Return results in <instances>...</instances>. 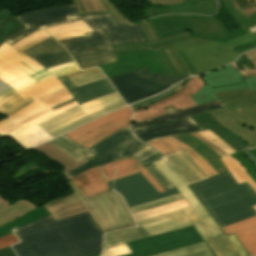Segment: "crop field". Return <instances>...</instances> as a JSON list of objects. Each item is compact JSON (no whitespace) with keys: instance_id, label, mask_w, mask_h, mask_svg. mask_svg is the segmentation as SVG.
Returning a JSON list of instances; mask_svg holds the SVG:
<instances>
[{"instance_id":"e1d0b9f6","label":"crop field","mask_w":256,"mask_h":256,"mask_svg":"<svg viewBox=\"0 0 256 256\" xmlns=\"http://www.w3.org/2000/svg\"><path fill=\"white\" fill-rule=\"evenodd\" d=\"M0 256H16L10 246L0 250Z\"/></svg>"},{"instance_id":"c3a83c6f","label":"crop field","mask_w":256,"mask_h":256,"mask_svg":"<svg viewBox=\"0 0 256 256\" xmlns=\"http://www.w3.org/2000/svg\"><path fill=\"white\" fill-rule=\"evenodd\" d=\"M82 37H86V34L75 36V37H71V38H67V39H63V40H59V42L63 43V42L79 39V38H82Z\"/></svg>"},{"instance_id":"5a996713","label":"crop field","mask_w":256,"mask_h":256,"mask_svg":"<svg viewBox=\"0 0 256 256\" xmlns=\"http://www.w3.org/2000/svg\"><path fill=\"white\" fill-rule=\"evenodd\" d=\"M125 256H212L193 226L127 243Z\"/></svg>"},{"instance_id":"28ad6ade","label":"crop field","mask_w":256,"mask_h":256,"mask_svg":"<svg viewBox=\"0 0 256 256\" xmlns=\"http://www.w3.org/2000/svg\"><path fill=\"white\" fill-rule=\"evenodd\" d=\"M188 77L191 76H152L144 68L131 73L110 77L109 80L119 91L125 102L131 104L160 93Z\"/></svg>"},{"instance_id":"ade564c9","label":"crop field","mask_w":256,"mask_h":256,"mask_svg":"<svg viewBox=\"0 0 256 256\" xmlns=\"http://www.w3.org/2000/svg\"><path fill=\"white\" fill-rule=\"evenodd\" d=\"M250 61L256 60V50L249 51L244 54Z\"/></svg>"},{"instance_id":"4177f3b9","label":"crop field","mask_w":256,"mask_h":256,"mask_svg":"<svg viewBox=\"0 0 256 256\" xmlns=\"http://www.w3.org/2000/svg\"><path fill=\"white\" fill-rule=\"evenodd\" d=\"M184 3L168 7L147 9L144 11L147 18L172 13H200L214 15L217 9V0H183ZM172 8V10H170Z\"/></svg>"},{"instance_id":"ae1a2a85","label":"crop field","mask_w":256,"mask_h":256,"mask_svg":"<svg viewBox=\"0 0 256 256\" xmlns=\"http://www.w3.org/2000/svg\"><path fill=\"white\" fill-rule=\"evenodd\" d=\"M163 159L187 184L207 178L206 174L199 168V166L182 151L170 154Z\"/></svg>"},{"instance_id":"dafd665d","label":"crop field","mask_w":256,"mask_h":256,"mask_svg":"<svg viewBox=\"0 0 256 256\" xmlns=\"http://www.w3.org/2000/svg\"><path fill=\"white\" fill-rule=\"evenodd\" d=\"M22 52L46 69L73 61L69 53L51 37Z\"/></svg>"},{"instance_id":"dbb93151","label":"crop field","mask_w":256,"mask_h":256,"mask_svg":"<svg viewBox=\"0 0 256 256\" xmlns=\"http://www.w3.org/2000/svg\"><path fill=\"white\" fill-rule=\"evenodd\" d=\"M255 41H256V33H254V34L249 33L247 35H244L242 37L236 38L234 40H231V41H228L225 43L228 46H230L232 49L236 50L240 47H243V46L248 45Z\"/></svg>"},{"instance_id":"e1f06a70","label":"crop field","mask_w":256,"mask_h":256,"mask_svg":"<svg viewBox=\"0 0 256 256\" xmlns=\"http://www.w3.org/2000/svg\"><path fill=\"white\" fill-rule=\"evenodd\" d=\"M147 237V235L138 228L117 231L104 235V250L125 245V242Z\"/></svg>"},{"instance_id":"b80d0937","label":"crop field","mask_w":256,"mask_h":256,"mask_svg":"<svg viewBox=\"0 0 256 256\" xmlns=\"http://www.w3.org/2000/svg\"><path fill=\"white\" fill-rule=\"evenodd\" d=\"M55 147L63 150L67 154H69L71 157H73L78 162L86 159L87 157L93 155L91 152L86 150L85 148L77 145L73 141H71L66 136L62 135L52 141H48Z\"/></svg>"},{"instance_id":"db79e9e6","label":"crop field","mask_w":256,"mask_h":256,"mask_svg":"<svg viewBox=\"0 0 256 256\" xmlns=\"http://www.w3.org/2000/svg\"><path fill=\"white\" fill-rule=\"evenodd\" d=\"M17 242H19V240L14 233L4 236L0 238V249Z\"/></svg>"},{"instance_id":"c39391a2","label":"crop field","mask_w":256,"mask_h":256,"mask_svg":"<svg viewBox=\"0 0 256 256\" xmlns=\"http://www.w3.org/2000/svg\"><path fill=\"white\" fill-rule=\"evenodd\" d=\"M252 48H256V42H255V43H252V44H250V45H248V46H246V47L240 48V49L236 50V52H238V53L241 54L242 52L247 51V50H250V49H252Z\"/></svg>"},{"instance_id":"0fb4a251","label":"crop field","mask_w":256,"mask_h":256,"mask_svg":"<svg viewBox=\"0 0 256 256\" xmlns=\"http://www.w3.org/2000/svg\"><path fill=\"white\" fill-rule=\"evenodd\" d=\"M149 147L148 145L142 144L140 141H138L135 137L131 141V143L128 145L127 149L125 152L121 155L120 159H125V158H131L133 157L132 155Z\"/></svg>"},{"instance_id":"7312dd0a","label":"crop field","mask_w":256,"mask_h":256,"mask_svg":"<svg viewBox=\"0 0 256 256\" xmlns=\"http://www.w3.org/2000/svg\"><path fill=\"white\" fill-rule=\"evenodd\" d=\"M5 202V199L3 197H0V204Z\"/></svg>"},{"instance_id":"412701ff","label":"crop field","mask_w":256,"mask_h":256,"mask_svg":"<svg viewBox=\"0 0 256 256\" xmlns=\"http://www.w3.org/2000/svg\"><path fill=\"white\" fill-rule=\"evenodd\" d=\"M0 79L13 87L0 95V112L9 116L0 121V136L6 137L10 135L27 150L52 139L46 131L37 125L38 123L77 105L76 101H74L55 111L49 109L72 98L71 95L47 106L31 98L26 100L17 91L35 82L7 65L1 59Z\"/></svg>"},{"instance_id":"214f88e0","label":"crop field","mask_w":256,"mask_h":256,"mask_svg":"<svg viewBox=\"0 0 256 256\" xmlns=\"http://www.w3.org/2000/svg\"><path fill=\"white\" fill-rule=\"evenodd\" d=\"M125 106L122 98L118 94V92L113 93L111 95L99 98L97 100L88 102L86 104L81 105L84 111L87 113L78 118H75L65 124H62L50 131L48 133L53 137H57L79 125H82L98 116H101L107 112L118 109L120 107Z\"/></svg>"},{"instance_id":"ae633e8c","label":"crop field","mask_w":256,"mask_h":256,"mask_svg":"<svg viewBox=\"0 0 256 256\" xmlns=\"http://www.w3.org/2000/svg\"><path fill=\"white\" fill-rule=\"evenodd\" d=\"M252 63L256 66V61H253ZM231 65L234 66L242 74L243 77L256 74V71L245 74L244 71L240 69L236 64L232 63Z\"/></svg>"},{"instance_id":"425ffa30","label":"crop field","mask_w":256,"mask_h":256,"mask_svg":"<svg viewBox=\"0 0 256 256\" xmlns=\"http://www.w3.org/2000/svg\"><path fill=\"white\" fill-rule=\"evenodd\" d=\"M188 206V204L186 203L185 200H181L178 201L176 203L164 206V207H160V208H156V209H152V210H148V211H144L138 214H134L133 217L135 219V221L137 220H141V219H146V218H150L153 216H157L163 213H167L182 207Z\"/></svg>"},{"instance_id":"89e229c0","label":"crop field","mask_w":256,"mask_h":256,"mask_svg":"<svg viewBox=\"0 0 256 256\" xmlns=\"http://www.w3.org/2000/svg\"><path fill=\"white\" fill-rule=\"evenodd\" d=\"M184 84L183 82H181L180 84H178L177 86H175L174 88L170 89L169 91L159 95V96H156L154 98H151V99H148L146 101H143V102H140V103H136V104H133L131 105V107L133 108V110L135 109H139V108H143L151 103H154V102H157L159 100H162L172 94H174L176 91H178L181 87H183Z\"/></svg>"},{"instance_id":"d14b1444","label":"crop field","mask_w":256,"mask_h":256,"mask_svg":"<svg viewBox=\"0 0 256 256\" xmlns=\"http://www.w3.org/2000/svg\"><path fill=\"white\" fill-rule=\"evenodd\" d=\"M241 152L244 153L253 162V164L256 166V157L253 154H251L246 149L241 151Z\"/></svg>"},{"instance_id":"9d1cf04e","label":"crop field","mask_w":256,"mask_h":256,"mask_svg":"<svg viewBox=\"0 0 256 256\" xmlns=\"http://www.w3.org/2000/svg\"><path fill=\"white\" fill-rule=\"evenodd\" d=\"M231 156L236 158L238 161H240L244 165V167L248 171L251 178L256 182V168L251 163V161L245 155H243L241 152L234 153Z\"/></svg>"},{"instance_id":"a9b5d70f","label":"crop field","mask_w":256,"mask_h":256,"mask_svg":"<svg viewBox=\"0 0 256 256\" xmlns=\"http://www.w3.org/2000/svg\"><path fill=\"white\" fill-rule=\"evenodd\" d=\"M137 24L141 27L145 37L147 38V42L114 46L116 53L152 50V46L171 44V41L173 40L192 37V34L189 32H180L160 38L150 20L142 21Z\"/></svg>"},{"instance_id":"5d738f31","label":"crop field","mask_w":256,"mask_h":256,"mask_svg":"<svg viewBox=\"0 0 256 256\" xmlns=\"http://www.w3.org/2000/svg\"><path fill=\"white\" fill-rule=\"evenodd\" d=\"M50 213L47 211V209L42 206L41 208L37 209L36 211L27 214L20 219L6 225L3 227H0V237L12 233L11 229H14L16 227L22 226L26 223L38 220L46 215H49Z\"/></svg>"},{"instance_id":"8a807250","label":"crop field","mask_w":256,"mask_h":256,"mask_svg":"<svg viewBox=\"0 0 256 256\" xmlns=\"http://www.w3.org/2000/svg\"><path fill=\"white\" fill-rule=\"evenodd\" d=\"M221 1L241 28L228 33L218 19L200 15L158 17L150 20L161 37L189 29L193 33V38L176 40L172 42L173 45L153 48L177 46L185 53L198 74L220 68L234 61L239 54L223 42L249 33L248 29L256 26V16L247 19L237 12L231 0Z\"/></svg>"},{"instance_id":"cbeb9de0","label":"crop field","mask_w":256,"mask_h":256,"mask_svg":"<svg viewBox=\"0 0 256 256\" xmlns=\"http://www.w3.org/2000/svg\"><path fill=\"white\" fill-rule=\"evenodd\" d=\"M107 183L124 197L128 207L178 194L177 189L160 194L141 172Z\"/></svg>"},{"instance_id":"d1516ede","label":"crop field","mask_w":256,"mask_h":256,"mask_svg":"<svg viewBox=\"0 0 256 256\" xmlns=\"http://www.w3.org/2000/svg\"><path fill=\"white\" fill-rule=\"evenodd\" d=\"M131 116L132 111L127 106L64 135L88 149L107 135L128 127Z\"/></svg>"},{"instance_id":"92a150f3","label":"crop field","mask_w":256,"mask_h":256,"mask_svg":"<svg viewBox=\"0 0 256 256\" xmlns=\"http://www.w3.org/2000/svg\"><path fill=\"white\" fill-rule=\"evenodd\" d=\"M139 170L130 171L128 173L106 179L104 180L100 171L97 167L88 170L80 175H77L70 180L72 183L86 196H90L92 194H95L99 191H104L106 189H109L107 186L106 181L117 179L120 177H124L136 172L141 171L144 176L150 181V183L160 192H165L163 187L158 183V181L153 177V175L144 167H138ZM100 193V192H99Z\"/></svg>"},{"instance_id":"d32e631a","label":"crop field","mask_w":256,"mask_h":256,"mask_svg":"<svg viewBox=\"0 0 256 256\" xmlns=\"http://www.w3.org/2000/svg\"><path fill=\"white\" fill-rule=\"evenodd\" d=\"M37 209L33 204L20 201L12 206L7 201L0 205V226L12 222L19 217Z\"/></svg>"},{"instance_id":"e52e79f7","label":"crop field","mask_w":256,"mask_h":256,"mask_svg":"<svg viewBox=\"0 0 256 256\" xmlns=\"http://www.w3.org/2000/svg\"><path fill=\"white\" fill-rule=\"evenodd\" d=\"M75 192L44 205L56 220L83 211H90L104 233L136 226L122 197L107 190L86 198L70 181Z\"/></svg>"},{"instance_id":"25e5ab78","label":"crop field","mask_w":256,"mask_h":256,"mask_svg":"<svg viewBox=\"0 0 256 256\" xmlns=\"http://www.w3.org/2000/svg\"><path fill=\"white\" fill-rule=\"evenodd\" d=\"M181 199H183V198L181 197L180 194H178V195L170 196V197H167V198L159 199V200H156V201H152V202H149V203H145V204H142V205L130 207L129 209H130L131 213L134 214V213H138V212H141V211H144V210H148V209L160 207V206H163V205H167V204L173 203V202L181 200Z\"/></svg>"},{"instance_id":"d23c7cc5","label":"crop field","mask_w":256,"mask_h":256,"mask_svg":"<svg viewBox=\"0 0 256 256\" xmlns=\"http://www.w3.org/2000/svg\"><path fill=\"white\" fill-rule=\"evenodd\" d=\"M68 77L75 84L76 87L86 85L91 82L105 78L103 73L97 68H93L80 73L68 75Z\"/></svg>"},{"instance_id":"733c2abd","label":"crop field","mask_w":256,"mask_h":256,"mask_svg":"<svg viewBox=\"0 0 256 256\" xmlns=\"http://www.w3.org/2000/svg\"><path fill=\"white\" fill-rule=\"evenodd\" d=\"M69 15H77L74 4L33 11L22 15L18 17V19L25 25L27 29L9 38L6 42L12 45L15 41L42 28L70 22L71 19Z\"/></svg>"},{"instance_id":"c821d689","label":"crop field","mask_w":256,"mask_h":256,"mask_svg":"<svg viewBox=\"0 0 256 256\" xmlns=\"http://www.w3.org/2000/svg\"><path fill=\"white\" fill-rule=\"evenodd\" d=\"M256 99V98H255Z\"/></svg>"},{"instance_id":"bd1437ed","label":"crop field","mask_w":256,"mask_h":256,"mask_svg":"<svg viewBox=\"0 0 256 256\" xmlns=\"http://www.w3.org/2000/svg\"><path fill=\"white\" fill-rule=\"evenodd\" d=\"M73 57L81 69L117 61L113 46L73 54Z\"/></svg>"},{"instance_id":"120bbe31","label":"crop field","mask_w":256,"mask_h":256,"mask_svg":"<svg viewBox=\"0 0 256 256\" xmlns=\"http://www.w3.org/2000/svg\"><path fill=\"white\" fill-rule=\"evenodd\" d=\"M173 138L183 142L187 146L195 149L203 158H205L219 173L227 171L217 154L208 149L199 140L189 134H179L172 136Z\"/></svg>"},{"instance_id":"1f2cbd36","label":"crop field","mask_w":256,"mask_h":256,"mask_svg":"<svg viewBox=\"0 0 256 256\" xmlns=\"http://www.w3.org/2000/svg\"><path fill=\"white\" fill-rule=\"evenodd\" d=\"M239 13L247 18L256 15V4L250 5L246 0H232Z\"/></svg>"},{"instance_id":"bc2a9ffb","label":"crop field","mask_w":256,"mask_h":256,"mask_svg":"<svg viewBox=\"0 0 256 256\" xmlns=\"http://www.w3.org/2000/svg\"><path fill=\"white\" fill-rule=\"evenodd\" d=\"M221 107H225V106L220 100L199 105L196 107L188 108L179 112H177L175 107H173L170 109H166L169 115L147 120L142 123H137V124L133 123L131 130L137 136L151 129L161 128L166 126H174V125L192 124L195 122L192 119H190L188 116L201 113L204 111H210L212 109L221 108Z\"/></svg>"},{"instance_id":"4a817a6b","label":"crop field","mask_w":256,"mask_h":256,"mask_svg":"<svg viewBox=\"0 0 256 256\" xmlns=\"http://www.w3.org/2000/svg\"><path fill=\"white\" fill-rule=\"evenodd\" d=\"M118 62L100 66L107 77L131 72L146 67L152 74H166L154 51L116 54Z\"/></svg>"},{"instance_id":"0f1d7ab4","label":"crop field","mask_w":256,"mask_h":256,"mask_svg":"<svg viewBox=\"0 0 256 256\" xmlns=\"http://www.w3.org/2000/svg\"><path fill=\"white\" fill-rule=\"evenodd\" d=\"M161 157H163V155L158 152V153H156L155 155H153V156H151V157H149V158H147V159L141 161V163H142L144 166H146V165H148V164H150V163L156 161L157 159H159V158H161Z\"/></svg>"},{"instance_id":"22f410ed","label":"crop field","mask_w":256,"mask_h":256,"mask_svg":"<svg viewBox=\"0 0 256 256\" xmlns=\"http://www.w3.org/2000/svg\"><path fill=\"white\" fill-rule=\"evenodd\" d=\"M205 86L191 98L197 105L218 98L213 92L248 88L249 91L256 90V75L243 78L241 74L231 65L218 71L201 75Z\"/></svg>"},{"instance_id":"5142ce71","label":"crop field","mask_w":256,"mask_h":256,"mask_svg":"<svg viewBox=\"0 0 256 256\" xmlns=\"http://www.w3.org/2000/svg\"><path fill=\"white\" fill-rule=\"evenodd\" d=\"M132 139V133L128 128L120 130L102 141L98 144L93 146L92 148L88 149L95 155L87 158L89 162L72 170L69 171L64 175L65 179H69L79 173H82L96 165L100 166L112 161L117 160L121 152L125 149L128 143Z\"/></svg>"},{"instance_id":"eef30255","label":"crop field","mask_w":256,"mask_h":256,"mask_svg":"<svg viewBox=\"0 0 256 256\" xmlns=\"http://www.w3.org/2000/svg\"><path fill=\"white\" fill-rule=\"evenodd\" d=\"M169 75H196L192 64L177 47L154 50Z\"/></svg>"},{"instance_id":"c035e120","label":"crop field","mask_w":256,"mask_h":256,"mask_svg":"<svg viewBox=\"0 0 256 256\" xmlns=\"http://www.w3.org/2000/svg\"><path fill=\"white\" fill-rule=\"evenodd\" d=\"M142 166V164L135 158L125 159L121 161H115L103 166L98 167L104 178L113 177L130 170L137 169L136 167Z\"/></svg>"},{"instance_id":"0765c3eb","label":"crop field","mask_w":256,"mask_h":256,"mask_svg":"<svg viewBox=\"0 0 256 256\" xmlns=\"http://www.w3.org/2000/svg\"><path fill=\"white\" fill-rule=\"evenodd\" d=\"M131 251L125 246L117 247L114 249L106 250L104 251L102 256H120V255H125V254H130Z\"/></svg>"},{"instance_id":"d8731c3e","label":"crop field","mask_w":256,"mask_h":256,"mask_svg":"<svg viewBox=\"0 0 256 256\" xmlns=\"http://www.w3.org/2000/svg\"><path fill=\"white\" fill-rule=\"evenodd\" d=\"M72 20L83 19L95 32L86 38L64 43L71 54L105 47L146 41L137 24L130 21L117 22L110 13L71 16Z\"/></svg>"},{"instance_id":"f0312440","label":"crop field","mask_w":256,"mask_h":256,"mask_svg":"<svg viewBox=\"0 0 256 256\" xmlns=\"http://www.w3.org/2000/svg\"><path fill=\"white\" fill-rule=\"evenodd\" d=\"M101 255V253H99V254H95V255H91V256H100Z\"/></svg>"},{"instance_id":"7b73153f","label":"crop field","mask_w":256,"mask_h":256,"mask_svg":"<svg viewBox=\"0 0 256 256\" xmlns=\"http://www.w3.org/2000/svg\"><path fill=\"white\" fill-rule=\"evenodd\" d=\"M152 6H167L183 2L182 0H147Z\"/></svg>"},{"instance_id":"750c4746","label":"crop field","mask_w":256,"mask_h":256,"mask_svg":"<svg viewBox=\"0 0 256 256\" xmlns=\"http://www.w3.org/2000/svg\"><path fill=\"white\" fill-rule=\"evenodd\" d=\"M223 230L226 234L235 233L251 256L256 255V216L225 227Z\"/></svg>"},{"instance_id":"78b8030e","label":"crop field","mask_w":256,"mask_h":256,"mask_svg":"<svg viewBox=\"0 0 256 256\" xmlns=\"http://www.w3.org/2000/svg\"><path fill=\"white\" fill-rule=\"evenodd\" d=\"M156 152H158V151H156V150H154L153 148L150 147V148H148V149H146V150H144V151L134 155V157L136 159H138L139 161H141V160H143V159H145V158L155 154Z\"/></svg>"},{"instance_id":"1d79db26","label":"crop field","mask_w":256,"mask_h":256,"mask_svg":"<svg viewBox=\"0 0 256 256\" xmlns=\"http://www.w3.org/2000/svg\"><path fill=\"white\" fill-rule=\"evenodd\" d=\"M146 168L155 176L166 191L175 189L172 183L153 164L146 166Z\"/></svg>"},{"instance_id":"c5b07064","label":"crop field","mask_w":256,"mask_h":256,"mask_svg":"<svg viewBox=\"0 0 256 256\" xmlns=\"http://www.w3.org/2000/svg\"><path fill=\"white\" fill-rule=\"evenodd\" d=\"M12 87H10L8 84H6L5 82L0 80V94L5 92L6 90L10 89Z\"/></svg>"},{"instance_id":"3316defc","label":"crop field","mask_w":256,"mask_h":256,"mask_svg":"<svg viewBox=\"0 0 256 256\" xmlns=\"http://www.w3.org/2000/svg\"><path fill=\"white\" fill-rule=\"evenodd\" d=\"M48 37L50 36L42 29L26 36L12 46L6 42L0 46V58L36 82L34 85L19 91L20 94L49 79L80 71L75 62L46 70L21 52Z\"/></svg>"},{"instance_id":"ac0d7876","label":"crop field","mask_w":256,"mask_h":256,"mask_svg":"<svg viewBox=\"0 0 256 256\" xmlns=\"http://www.w3.org/2000/svg\"><path fill=\"white\" fill-rule=\"evenodd\" d=\"M19 256H87L102 251L103 235L88 212L56 221L52 215L13 230Z\"/></svg>"},{"instance_id":"b54c1fbb","label":"crop field","mask_w":256,"mask_h":256,"mask_svg":"<svg viewBox=\"0 0 256 256\" xmlns=\"http://www.w3.org/2000/svg\"><path fill=\"white\" fill-rule=\"evenodd\" d=\"M85 112L82 110V108L78 105L76 107H73L61 114H58L47 121L39 124L44 130L48 131L62 123H65L81 114H84Z\"/></svg>"},{"instance_id":"73cf0c24","label":"crop field","mask_w":256,"mask_h":256,"mask_svg":"<svg viewBox=\"0 0 256 256\" xmlns=\"http://www.w3.org/2000/svg\"><path fill=\"white\" fill-rule=\"evenodd\" d=\"M197 133L206 137L208 140H210L212 143L217 145L219 148H221L223 151H225L229 155L236 152L234 149H232L228 144H226L221 138H219L216 134H214L209 129L206 131H201Z\"/></svg>"},{"instance_id":"1f1604b0","label":"crop field","mask_w":256,"mask_h":256,"mask_svg":"<svg viewBox=\"0 0 256 256\" xmlns=\"http://www.w3.org/2000/svg\"><path fill=\"white\" fill-rule=\"evenodd\" d=\"M254 208L256 209V206H254Z\"/></svg>"},{"instance_id":"03da06ac","label":"crop field","mask_w":256,"mask_h":256,"mask_svg":"<svg viewBox=\"0 0 256 256\" xmlns=\"http://www.w3.org/2000/svg\"><path fill=\"white\" fill-rule=\"evenodd\" d=\"M222 161L238 183L246 181L256 191V183L249 177L241 163L231 156L223 158Z\"/></svg>"},{"instance_id":"d9b57169","label":"crop field","mask_w":256,"mask_h":256,"mask_svg":"<svg viewBox=\"0 0 256 256\" xmlns=\"http://www.w3.org/2000/svg\"><path fill=\"white\" fill-rule=\"evenodd\" d=\"M204 85L205 84L200 76L192 77L190 81L173 96L157 103L151 104L143 109L134 111L135 115L133 118V122L137 123L145 121L147 119L165 115L168 112L166 113L164 109L173 106L176 107L177 111L191 106H195L196 104L190 97Z\"/></svg>"},{"instance_id":"0bd39190","label":"crop field","mask_w":256,"mask_h":256,"mask_svg":"<svg viewBox=\"0 0 256 256\" xmlns=\"http://www.w3.org/2000/svg\"><path fill=\"white\" fill-rule=\"evenodd\" d=\"M23 29V24L7 9L0 12V44Z\"/></svg>"},{"instance_id":"34b2d1b8","label":"crop field","mask_w":256,"mask_h":256,"mask_svg":"<svg viewBox=\"0 0 256 256\" xmlns=\"http://www.w3.org/2000/svg\"><path fill=\"white\" fill-rule=\"evenodd\" d=\"M178 189L190 206L150 219L138 221L149 236L194 225L214 256H249L235 235L226 236L190 187L163 160L153 163Z\"/></svg>"},{"instance_id":"180be81f","label":"crop field","mask_w":256,"mask_h":256,"mask_svg":"<svg viewBox=\"0 0 256 256\" xmlns=\"http://www.w3.org/2000/svg\"><path fill=\"white\" fill-rule=\"evenodd\" d=\"M250 31H251L252 33L256 32V27L250 29Z\"/></svg>"},{"instance_id":"5866460e","label":"crop field","mask_w":256,"mask_h":256,"mask_svg":"<svg viewBox=\"0 0 256 256\" xmlns=\"http://www.w3.org/2000/svg\"><path fill=\"white\" fill-rule=\"evenodd\" d=\"M46 31L56 40H59L83 33L92 32L93 30L83 20H80L46 28Z\"/></svg>"},{"instance_id":"1d83c4d3","label":"crop field","mask_w":256,"mask_h":256,"mask_svg":"<svg viewBox=\"0 0 256 256\" xmlns=\"http://www.w3.org/2000/svg\"><path fill=\"white\" fill-rule=\"evenodd\" d=\"M77 14H93L110 12L116 20H129L121 14L110 0H74Z\"/></svg>"},{"instance_id":"fb207236","label":"crop field","mask_w":256,"mask_h":256,"mask_svg":"<svg viewBox=\"0 0 256 256\" xmlns=\"http://www.w3.org/2000/svg\"><path fill=\"white\" fill-rule=\"evenodd\" d=\"M249 151L256 156V150L255 149H252V150H249Z\"/></svg>"},{"instance_id":"447ae74e","label":"crop field","mask_w":256,"mask_h":256,"mask_svg":"<svg viewBox=\"0 0 256 256\" xmlns=\"http://www.w3.org/2000/svg\"><path fill=\"white\" fill-rule=\"evenodd\" d=\"M191 135H193L194 137H196L197 139H199L202 143H204L208 148H210L211 150H213L215 153H217L219 156H221L222 158L227 156L226 153H224L221 149H219L218 147H216L214 144H212L211 142H209L207 139H205L203 136L197 134V133H192Z\"/></svg>"},{"instance_id":"c21b1889","label":"crop field","mask_w":256,"mask_h":256,"mask_svg":"<svg viewBox=\"0 0 256 256\" xmlns=\"http://www.w3.org/2000/svg\"><path fill=\"white\" fill-rule=\"evenodd\" d=\"M200 130H204V129H202L197 124H193V125L175 126V127H166V128L156 129V130L145 132L137 137L144 142L149 139L156 138L158 136L193 132V131H200Z\"/></svg>"},{"instance_id":"f4fd0767","label":"crop field","mask_w":256,"mask_h":256,"mask_svg":"<svg viewBox=\"0 0 256 256\" xmlns=\"http://www.w3.org/2000/svg\"><path fill=\"white\" fill-rule=\"evenodd\" d=\"M226 105L191 116L204 129H211L236 151L256 147V91L248 89L215 93Z\"/></svg>"},{"instance_id":"730fd06b","label":"crop field","mask_w":256,"mask_h":256,"mask_svg":"<svg viewBox=\"0 0 256 256\" xmlns=\"http://www.w3.org/2000/svg\"><path fill=\"white\" fill-rule=\"evenodd\" d=\"M145 143L152 145L155 149L161 151L166 155L182 150L186 152L190 156V158L200 166V168L208 175V177L218 174V172L196 151L174 140L170 136L152 139Z\"/></svg>"},{"instance_id":"dd49c442","label":"crop field","mask_w":256,"mask_h":256,"mask_svg":"<svg viewBox=\"0 0 256 256\" xmlns=\"http://www.w3.org/2000/svg\"><path fill=\"white\" fill-rule=\"evenodd\" d=\"M190 187L222 228L256 215L251 207L256 204V193L246 182L238 184L229 171Z\"/></svg>"},{"instance_id":"d3111659","label":"crop field","mask_w":256,"mask_h":256,"mask_svg":"<svg viewBox=\"0 0 256 256\" xmlns=\"http://www.w3.org/2000/svg\"><path fill=\"white\" fill-rule=\"evenodd\" d=\"M26 99L31 97L45 105L59 100L69 93L64 88V86L58 81L57 78L49 80L23 94ZM44 105V106H45Z\"/></svg>"},{"instance_id":"028f5c9d","label":"crop field","mask_w":256,"mask_h":256,"mask_svg":"<svg viewBox=\"0 0 256 256\" xmlns=\"http://www.w3.org/2000/svg\"><path fill=\"white\" fill-rule=\"evenodd\" d=\"M34 149L52 159H54L58 163L64 165L65 168L62 169V173L72 170V169L87 162L86 160H84V161L78 163L73 158H71L69 155H67L63 151L55 148L54 146L50 145L47 142L34 148Z\"/></svg>"},{"instance_id":"00972430","label":"crop field","mask_w":256,"mask_h":256,"mask_svg":"<svg viewBox=\"0 0 256 256\" xmlns=\"http://www.w3.org/2000/svg\"><path fill=\"white\" fill-rule=\"evenodd\" d=\"M59 80L74 98L51 108L53 110L74 100H76L78 104L81 105L88 101L116 92L107 78L79 88H76L67 76L59 78Z\"/></svg>"},{"instance_id":"819c52e7","label":"crop field","mask_w":256,"mask_h":256,"mask_svg":"<svg viewBox=\"0 0 256 256\" xmlns=\"http://www.w3.org/2000/svg\"><path fill=\"white\" fill-rule=\"evenodd\" d=\"M256 149V148H255Z\"/></svg>"}]
</instances>
